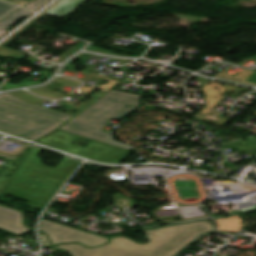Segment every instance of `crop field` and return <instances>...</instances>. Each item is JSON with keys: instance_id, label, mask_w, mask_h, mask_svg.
Masks as SVG:
<instances>
[{"instance_id": "34b2d1b8", "label": "crop field", "mask_w": 256, "mask_h": 256, "mask_svg": "<svg viewBox=\"0 0 256 256\" xmlns=\"http://www.w3.org/2000/svg\"><path fill=\"white\" fill-rule=\"evenodd\" d=\"M139 98V95L111 90L59 130L130 151L131 148L111 141L109 133L100 130L112 118L119 120L139 107Z\"/></svg>"}, {"instance_id": "d9b57169", "label": "crop field", "mask_w": 256, "mask_h": 256, "mask_svg": "<svg viewBox=\"0 0 256 256\" xmlns=\"http://www.w3.org/2000/svg\"><path fill=\"white\" fill-rule=\"evenodd\" d=\"M7 1L12 2V3H14L16 5H19V6H23V5L29 3L33 0H7Z\"/></svg>"}, {"instance_id": "d1516ede", "label": "crop field", "mask_w": 256, "mask_h": 256, "mask_svg": "<svg viewBox=\"0 0 256 256\" xmlns=\"http://www.w3.org/2000/svg\"><path fill=\"white\" fill-rule=\"evenodd\" d=\"M31 14L28 11H25L23 9H20L18 11H16L15 13H13L12 15H10L7 19H5L4 21L0 22V29H8L12 24H14L18 19L27 16Z\"/></svg>"}, {"instance_id": "3316defc", "label": "crop field", "mask_w": 256, "mask_h": 256, "mask_svg": "<svg viewBox=\"0 0 256 256\" xmlns=\"http://www.w3.org/2000/svg\"><path fill=\"white\" fill-rule=\"evenodd\" d=\"M84 1L85 0H60L50 9H48L44 14L64 17Z\"/></svg>"}, {"instance_id": "f4fd0767", "label": "crop field", "mask_w": 256, "mask_h": 256, "mask_svg": "<svg viewBox=\"0 0 256 256\" xmlns=\"http://www.w3.org/2000/svg\"><path fill=\"white\" fill-rule=\"evenodd\" d=\"M63 131V130H62ZM62 131H55L52 134L37 141L51 147L65 150L71 153L78 154L91 160L103 163H118L124 160L129 154V151L82 138ZM78 138L91 141L84 148L71 144Z\"/></svg>"}, {"instance_id": "8a807250", "label": "crop field", "mask_w": 256, "mask_h": 256, "mask_svg": "<svg viewBox=\"0 0 256 256\" xmlns=\"http://www.w3.org/2000/svg\"><path fill=\"white\" fill-rule=\"evenodd\" d=\"M208 221L143 230L149 243L137 244L125 237H114L111 243L94 249L77 244L56 246L73 256H174L202 233L213 231Z\"/></svg>"}, {"instance_id": "22f410ed", "label": "crop field", "mask_w": 256, "mask_h": 256, "mask_svg": "<svg viewBox=\"0 0 256 256\" xmlns=\"http://www.w3.org/2000/svg\"><path fill=\"white\" fill-rule=\"evenodd\" d=\"M19 7L6 3L0 0V20L9 15L12 11L18 9Z\"/></svg>"}, {"instance_id": "dd49c442", "label": "crop field", "mask_w": 256, "mask_h": 256, "mask_svg": "<svg viewBox=\"0 0 256 256\" xmlns=\"http://www.w3.org/2000/svg\"><path fill=\"white\" fill-rule=\"evenodd\" d=\"M39 230L43 231L48 236L53 245L61 243L79 242L88 247H94L108 241L107 238L72 229L67 226L44 219H42L40 222ZM40 235L42 239V244L49 245L45 236L42 233H40Z\"/></svg>"}, {"instance_id": "ac0d7876", "label": "crop field", "mask_w": 256, "mask_h": 256, "mask_svg": "<svg viewBox=\"0 0 256 256\" xmlns=\"http://www.w3.org/2000/svg\"><path fill=\"white\" fill-rule=\"evenodd\" d=\"M31 147L5 193L30 201L28 204L44 209L67 177L80 162L64 157L55 169L42 165L38 153Z\"/></svg>"}, {"instance_id": "bc2a9ffb", "label": "crop field", "mask_w": 256, "mask_h": 256, "mask_svg": "<svg viewBox=\"0 0 256 256\" xmlns=\"http://www.w3.org/2000/svg\"><path fill=\"white\" fill-rule=\"evenodd\" d=\"M7 31H0V36L3 35Z\"/></svg>"}, {"instance_id": "4a817a6b", "label": "crop field", "mask_w": 256, "mask_h": 256, "mask_svg": "<svg viewBox=\"0 0 256 256\" xmlns=\"http://www.w3.org/2000/svg\"><path fill=\"white\" fill-rule=\"evenodd\" d=\"M248 60L256 61V55L251 57V58H249Z\"/></svg>"}, {"instance_id": "5a996713", "label": "crop field", "mask_w": 256, "mask_h": 256, "mask_svg": "<svg viewBox=\"0 0 256 256\" xmlns=\"http://www.w3.org/2000/svg\"><path fill=\"white\" fill-rule=\"evenodd\" d=\"M207 83H209L211 85L209 86V85H207ZM203 86H204V88H202V91L205 96L206 107L204 109H202L200 112L207 113L224 97V96L222 97V95L226 94V92H225L222 84H220V83H214V82L207 81ZM214 87H217L218 90H214Z\"/></svg>"}, {"instance_id": "28ad6ade", "label": "crop field", "mask_w": 256, "mask_h": 256, "mask_svg": "<svg viewBox=\"0 0 256 256\" xmlns=\"http://www.w3.org/2000/svg\"><path fill=\"white\" fill-rule=\"evenodd\" d=\"M214 221L218 230L235 231V232H239L242 226L241 222H243L242 220L239 219V216L237 215L236 216L232 215L226 219H216Z\"/></svg>"}, {"instance_id": "cbeb9de0", "label": "crop field", "mask_w": 256, "mask_h": 256, "mask_svg": "<svg viewBox=\"0 0 256 256\" xmlns=\"http://www.w3.org/2000/svg\"><path fill=\"white\" fill-rule=\"evenodd\" d=\"M25 79H26V78H25ZM25 79H23V80H22L21 82H19L17 85L6 82V83L0 88V90L12 89V88L20 87V86L33 85L32 83L40 84V83H36V82H33V81L27 82L28 80H25ZM35 84H34V85H35Z\"/></svg>"}, {"instance_id": "733c2abd", "label": "crop field", "mask_w": 256, "mask_h": 256, "mask_svg": "<svg viewBox=\"0 0 256 256\" xmlns=\"http://www.w3.org/2000/svg\"><path fill=\"white\" fill-rule=\"evenodd\" d=\"M245 83H251V84H256V73H254L252 76H250Z\"/></svg>"}, {"instance_id": "e52e79f7", "label": "crop field", "mask_w": 256, "mask_h": 256, "mask_svg": "<svg viewBox=\"0 0 256 256\" xmlns=\"http://www.w3.org/2000/svg\"><path fill=\"white\" fill-rule=\"evenodd\" d=\"M0 102L20 108V109L27 110L30 112H34V113H37V114H40L43 116H47V117H50V118H53L56 120H60L63 122L67 121L68 119H70L72 117V116L51 110V109H47L44 107L26 103L9 93L0 95Z\"/></svg>"}, {"instance_id": "d8731c3e", "label": "crop field", "mask_w": 256, "mask_h": 256, "mask_svg": "<svg viewBox=\"0 0 256 256\" xmlns=\"http://www.w3.org/2000/svg\"><path fill=\"white\" fill-rule=\"evenodd\" d=\"M0 227L18 234L30 230L21 225L20 211L5 208L2 206H0Z\"/></svg>"}, {"instance_id": "5142ce71", "label": "crop field", "mask_w": 256, "mask_h": 256, "mask_svg": "<svg viewBox=\"0 0 256 256\" xmlns=\"http://www.w3.org/2000/svg\"><path fill=\"white\" fill-rule=\"evenodd\" d=\"M48 0H36L32 4H29L25 6L24 8H27L29 10L35 11L39 9L42 5H44Z\"/></svg>"}, {"instance_id": "412701ff", "label": "crop field", "mask_w": 256, "mask_h": 256, "mask_svg": "<svg viewBox=\"0 0 256 256\" xmlns=\"http://www.w3.org/2000/svg\"><path fill=\"white\" fill-rule=\"evenodd\" d=\"M63 122L0 103V131L36 140L55 130Z\"/></svg>"}]
</instances>
